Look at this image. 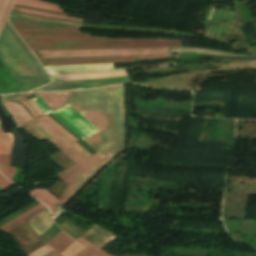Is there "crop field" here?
Listing matches in <instances>:
<instances>
[{
	"label": "crop field",
	"mask_w": 256,
	"mask_h": 256,
	"mask_svg": "<svg viewBox=\"0 0 256 256\" xmlns=\"http://www.w3.org/2000/svg\"><path fill=\"white\" fill-rule=\"evenodd\" d=\"M98 94L99 102L55 103L64 100L98 101L97 89L39 93L45 103H55L47 104L51 110L68 104L100 130L84 140L97 153L58 174L68 185L60 200L49 207L54 217L99 169L122 152L126 146L123 86L98 89Z\"/></svg>",
	"instance_id": "8a807250"
},
{
	"label": "crop field",
	"mask_w": 256,
	"mask_h": 256,
	"mask_svg": "<svg viewBox=\"0 0 256 256\" xmlns=\"http://www.w3.org/2000/svg\"><path fill=\"white\" fill-rule=\"evenodd\" d=\"M30 50L122 49L180 46L179 40L108 38L107 40H24Z\"/></svg>",
	"instance_id": "ac0d7876"
},
{
	"label": "crop field",
	"mask_w": 256,
	"mask_h": 256,
	"mask_svg": "<svg viewBox=\"0 0 256 256\" xmlns=\"http://www.w3.org/2000/svg\"><path fill=\"white\" fill-rule=\"evenodd\" d=\"M9 22L22 39H106L91 37L79 31L80 25L63 24L23 18L9 17Z\"/></svg>",
	"instance_id": "34b2d1b8"
},
{
	"label": "crop field",
	"mask_w": 256,
	"mask_h": 256,
	"mask_svg": "<svg viewBox=\"0 0 256 256\" xmlns=\"http://www.w3.org/2000/svg\"><path fill=\"white\" fill-rule=\"evenodd\" d=\"M34 52L38 56V58L40 57L41 58H61V57L161 54V53H169V50L168 48H145V49H123V50L37 51L40 57L36 53V51Z\"/></svg>",
	"instance_id": "412701ff"
},
{
	"label": "crop field",
	"mask_w": 256,
	"mask_h": 256,
	"mask_svg": "<svg viewBox=\"0 0 256 256\" xmlns=\"http://www.w3.org/2000/svg\"><path fill=\"white\" fill-rule=\"evenodd\" d=\"M170 54L143 55V56H121V57H87V58H61V59H39L43 66L68 65V64H94L111 62H132L151 59L172 58Z\"/></svg>",
	"instance_id": "f4fd0767"
},
{
	"label": "crop field",
	"mask_w": 256,
	"mask_h": 256,
	"mask_svg": "<svg viewBox=\"0 0 256 256\" xmlns=\"http://www.w3.org/2000/svg\"><path fill=\"white\" fill-rule=\"evenodd\" d=\"M52 114H54L58 119H60L65 125H67L83 140L99 131L83 116H81L78 112H76L68 105L52 112Z\"/></svg>",
	"instance_id": "dd49c442"
},
{
	"label": "crop field",
	"mask_w": 256,
	"mask_h": 256,
	"mask_svg": "<svg viewBox=\"0 0 256 256\" xmlns=\"http://www.w3.org/2000/svg\"><path fill=\"white\" fill-rule=\"evenodd\" d=\"M4 105L13 115L14 119L18 122L20 127L26 126L25 122L37 117L26 102L11 100L4 102Z\"/></svg>",
	"instance_id": "e52e79f7"
},
{
	"label": "crop field",
	"mask_w": 256,
	"mask_h": 256,
	"mask_svg": "<svg viewBox=\"0 0 256 256\" xmlns=\"http://www.w3.org/2000/svg\"><path fill=\"white\" fill-rule=\"evenodd\" d=\"M80 237L84 238L88 242L92 243L99 249H103L108 243L113 241L115 238L114 235L110 234L109 232L101 229L98 226H93L91 229H89L87 232H85Z\"/></svg>",
	"instance_id": "d8731c3e"
},
{
	"label": "crop field",
	"mask_w": 256,
	"mask_h": 256,
	"mask_svg": "<svg viewBox=\"0 0 256 256\" xmlns=\"http://www.w3.org/2000/svg\"><path fill=\"white\" fill-rule=\"evenodd\" d=\"M27 124L32 127L35 131L41 134L44 138H46L49 142L59 148L63 153H65L69 158H71L75 163L85 159L79 152H77L73 147L69 144L63 146L53 137H51L48 133H46L43 129H41L37 124L33 121L27 122Z\"/></svg>",
	"instance_id": "5a996713"
},
{
	"label": "crop field",
	"mask_w": 256,
	"mask_h": 256,
	"mask_svg": "<svg viewBox=\"0 0 256 256\" xmlns=\"http://www.w3.org/2000/svg\"><path fill=\"white\" fill-rule=\"evenodd\" d=\"M33 121L35 123H37L41 128H43L46 132H48L50 135H52L55 139H57L63 145L70 143V142H74L71 138H69L63 131H61L55 124H53L45 116H43L41 118H37Z\"/></svg>",
	"instance_id": "3316defc"
},
{
	"label": "crop field",
	"mask_w": 256,
	"mask_h": 256,
	"mask_svg": "<svg viewBox=\"0 0 256 256\" xmlns=\"http://www.w3.org/2000/svg\"><path fill=\"white\" fill-rule=\"evenodd\" d=\"M125 75H129L127 70L115 71V72L91 73V74L60 75L55 77L61 81H66V80L89 79V78L117 77V76H125Z\"/></svg>",
	"instance_id": "28ad6ade"
},
{
	"label": "crop field",
	"mask_w": 256,
	"mask_h": 256,
	"mask_svg": "<svg viewBox=\"0 0 256 256\" xmlns=\"http://www.w3.org/2000/svg\"><path fill=\"white\" fill-rule=\"evenodd\" d=\"M44 206L41 203L38 204L37 206H35L32 209H30L29 211L25 212L24 214H22L18 218H16V219L6 223L5 225L1 226L0 229L4 230L6 232L14 229L18 225L26 222L27 220H29L30 218H32L33 216H35L36 214L41 212L42 210L46 209V207H44Z\"/></svg>",
	"instance_id": "d1516ede"
},
{
	"label": "crop field",
	"mask_w": 256,
	"mask_h": 256,
	"mask_svg": "<svg viewBox=\"0 0 256 256\" xmlns=\"http://www.w3.org/2000/svg\"><path fill=\"white\" fill-rule=\"evenodd\" d=\"M73 241H74L73 238L69 237L67 234H65L63 231H61L48 244L60 253Z\"/></svg>",
	"instance_id": "22f410ed"
},
{
	"label": "crop field",
	"mask_w": 256,
	"mask_h": 256,
	"mask_svg": "<svg viewBox=\"0 0 256 256\" xmlns=\"http://www.w3.org/2000/svg\"><path fill=\"white\" fill-rule=\"evenodd\" d=\"M14 4L25 5V6H33V7H39V8H44V9H49V10L62 12L58 5L43 2V1H40V0H15Z\"/></svg>",
	"instance_id": "cbeb9de0"
},
{
	"label": "crop field",
	"mask_w": 256,
	"mask_h": 256,
	"mask_svg": "<svg viewBox=\"0 0 256 256\" xmlns=\"http://www.w3.org/2000/svg\"><path fill=\"white\" fill-rule=\"evenodd\" d=\"M31 195L37 200H39L40 202L44 203L48 207L54 204L56 201H58L51 194H49L45 189L42 191L35 189L31 191Z\"/></svg>",
	"instance_id": "5142ce71"
},
{
	"label": "crop field",
	"mask_w": 256,
	"mask_h": 256,
	"mask_svg": "<svg viewBox=\"0 0 256 256\" xmlns=\"http://www.w3.org/2000/svg\"><path fill=\"white\" fill-rule=\"evenodd\" d=\"M0 170L7 178L11 180L15 173L16 168L9 166L8 154H0Z\"/></svg>",
	"instance_id": "d9b57169"
},
{
	"label": "crop field",
	"mask_w": 256,
	"mask_h": 256,
	"mask_svg": "<svg viewBox=\"0 0 256 256\" xmlns=\"http://www.w3.org/2000/svg\"><path fill=\"white\" fill-rule=\"evenodd\" d=\"M12 142H13V138L11 133L3 134L0 127V153L10 154Z\"/></svg>",
	"instance_id": "733c2abd"
},
{
	"label": "crop field",
	"mask_w": 256,
	"mask_h": 256,
	"mask_svg": "<svg viewBox=\"0 0 256 256\" xmlns=\"http://www.w3.org/2000/svg\"><path fill=\"white\" fill-rule=\"evenodd\" d=\"M12 0H0V32L7 20Z\"/></svg>",
	"instance_id": "4a817a6b"
},
{
	"label": "crop field",
	"mask_w": 256,
	"mask_h": 256,
	"mask_svg": "<svg viewBox=\"0 0 256 256\" xmlns=\"http://www.w3.org/2000/svg\"><path fill=\"white\" fill-rule=\"evenodd\" d=\"M13 10H15V7ZM16 11L45 16V17L61 18V19H65V20L83 21V19H77V18H73V17H69V16L55 15V14H49V13H43V12H37V11H30V10H24V9H20V8H17Z\"/></svg>",
	"instance_id": "bc2a9ffb"
},
{
	"label": "crop field",
	"mask_w": 256,
	"mask_h": 256,
	"mask_svg": "<svg viewBox=\"0 0 256 256\" xmlns=\"http://www.w3.org/2000/svg\"><path fill=\"white\" fill-rule=\"evenodd\" d=\"M53 250L50 246H48L47 244L43 247H41L40 249H38L37 251L27 255V256H42L43 254L49 252Z\"/></svg>",
	"instance_id": "214f88e0"
},
{
	"label": "crop field",
	"mask_w": 256,
	"mask_h": 256,
	"mask_svg": "<svg viewBox=\"0 0 256 256\" xmlns=\"http://www.w3.org/2000/svg\"><path fill=\"white\" fill-rule=\"evenodd\" d=\"M77 241L81 242L82 244H84L85 246H87L88 248L92 249L93 251L97 252L98 254H100L101 256H109L106 253L102 252L101 250H99L98 248H96L95 246L91 245L90 243L86 242L85 240H83L82 238H78Z\"/></svg>",
	"instance_id": "92a150f3"
},
{
	"label": "crop field",
	"mask_w": 256,
	"mask_h": 256,
	"mask_svg": "<svg viewBox=\"0 0 256 256\" xmlns=\"http://www.w3.org/2000/svg\"><path fill=\"white\" fill-rule=\"evenodd\" d=\"M35 101L37 102L38 106L43 110L45 114L51 112V110L48 108V106L43 102V100L40 97L35 98Z\"/></svg>",
	"instance_id": "dafd665d"
},
{
	"label": "crop field",
	"mask_w": 256,
	"mask_h": 256,
	"mask_svg": "<svg viewBox=\"0 0 256 256\" xmlns=\"http://www.w3.org/2000/svg\"><path fill=\"white\" fill-rule=\"evenodd\" d=\"M76 150H78L82 155H84L86 158L91 157L89 153H87L81 146H79L76 142L70 143Z\"/></svg>",
	"instance_id": "00972430"
},
{
	"label": "crop field",
	"mask_w": 256,
	"mask_h": 256,
	"mask_svg": "<svg viewBox=\"0 0 256 256\" xmlns=\"http://www.w3.org/2000/svg\"><path fill=\"white\" fill-rule=\"evenodd\" d=\"M29 104L32 106V108L35 110V112L38 114V116L45 115L41 109L37 106V104L34 102V100H28Z\"/></svg>",
	"instance_id": "a9b5d70f"
},
{
	"label": "crop field",
	"mask_w": 256,
	"mask_h": 256,
	"mask_svg": "<svg viewBox=\"0 0 256 256\" xmlns=\"http://www.w3.org/2000/svg\"><path fill=\"white\" fill-rule=\"evenodd\" d=\"M12 183L10 181H8L6 178H4L1 173H0V187L2 189L10 186Z\"/></svg>",
	"instance_id": "4177f3b9"
},
{
	"label": "crop field",
	"mask_w": 256,
	"mask_h": 256,
	"mask_svg": "<svg viewBox=\"0 0 256 256\" xmlns=\"http://www.w3.org/2000/svg\"><path fill=\"white\" fill-rule=\"evenodd\" d=\"M14 6H16V5H14ZM16 7H21V8L30 9V10H37V11H44V12H50V13L67 15V14H64V13L51 12V11L39 10V9H34V8L22 7V6H16Z\"/></svg>",
	"instance_id": "730fd06b"
},
{
	"label": "crop field",
	"mask_w": 256,
	"mask_h": 256,
	"mask_svg": "<svg viewBox=\"0 0 256 256\" xmlns=\"http://www.w3.org/2000/svg\"><path fill=\"white\" fill-rule=\"evenodd\" d=\"M48 117L52 122H54L61 130H63L69 137H71L73 140L77 141L75 138H73L69 133H67L62 127H60L54 120H52L48 115H45ZM53 123V124H54Z\"/></svg>",
	"instance_id": "eef30255"
},
{
	"label": "crop field",
	"mask_w": 256,
	"mask_h": 256,
	"mask_svg": "<svg viewBox=\"0 0 256 256\" xmlns=\"http://www.w3.org/2000/svg\"><path fill=\"white\" fill-rule=\"evenodd\" d=\"M81 252L85 253V254L88 255V256H98V255L92 253L93 251L91 252V251L88 250L87 248H85V249L82 250Z\"/></svg>",
	"instance_id": "ae1a2a85"
},
{
	"label": "crop field",
	"mask_w": 256,
	"mask_h": 256,
	"mask_svg": "<svg viewBox=\"0 0 256 256\" xmlns=\"http://www.w3.org/2000/svg\"><path fill=\"white\" fill-rule=\"evenodd\" d=\"M44 256H61V255L53 250V251L49 252L48 254H46Z\"/></svg>",
	"instance_id": "d3111659"
},
{
	"label": "crop field",
	"mask_w": 256,
	"mask_h": 256,
	"mask_svg": "<svg viewBox=\"0 0 256 256\" xmlns=\"http://www.w3.org/2000/svg\"><path fill=\"white\" fill-rule=\"evenodd\" d=\"M76 256H86V255H84L83 253H79V254H77Z\"/></svg>",
	"instance_id": "750c4746"
},
{
	"label": "crop field",
	"mask_w": 256,
	"mask_h": 256,
	"mask_svg": "<svg viewBox=\"0 0 256 256\" xmlns=\"http://www.w3.org/2000/svg\"><path fill=\"white\" fill-rule=\"evenodd\" d=\"M14 12V11H13ZM53 19V18H52ZM57 20H61V19H57Z\"/></svg>",
	"instance_id": "bd1437ed"
}]
</instances>
